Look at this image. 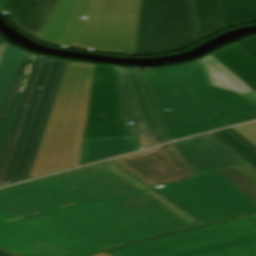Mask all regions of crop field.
<instances>
[{
	"label": "crop field",
	"mask_w": 256,
	"mask_h": 256,
	"mask_svg": "<svg viewBox=\"0 0 256 256\" xmlns=\"http://www.w3.org/2000/svg\"><path fill=\"white\" fill-rule=\"evenodd\" d=\"M60 0H9L4 11L15 27L38 40Z\"/></svg>",
	"instance_id": "crop-field-15"
},
{
	"label": "crop field",
	"mask_w": 256,
	"mask_h": 256,
	"mask_svg": "<svg viewBox=\"0 0 256 256\" xmlns=\"http://www.w3.org/2000/svg\"><path fill=\"white\" fill-rule=\"evenodd\" d=\"M236 44L256 60V36L236 42Z\"/></svg>",
	"instance_id": "crop-field-26"
},
{
	"label": "crop field",
	"mask_w": 256,
	"mask_h": 256,
	"mask_svg": "<svg viewBox=\"0 0 256 256\" xmlns=\"http://www.w3.org/2000/svg\"><path fill=\"white\" fill-rule=\"evenodd\" d=\"M143 72L171 140L206 132L161 68Z\"/></svg>",
	"instance_id": "crop-field-12"
},
{
	"label": "crop field",
	"mask_w": 256,
	"mask_h": 256,
	"mask_svg": "<svg viewBox=\"0 0 256 256\" xmlns=\"http://www.w3.org/2000/svg\"><path fill=\"white\" fill-rule=\"evenodd\" d=\"M211 55L256 91V61L239 46L234 43Z\"/></svg>",
	"instance_id": "crop-field-18"
},
{
	"label": "crop field",
	"mask_w": 256,
	"mask_h": 256,
	"mask_svg": "<svg viewBox=\"0 0 256 256\" xmlns=\"http://www.w3.org/2000/svg\"><path fill=\"white\" fill-rule=\"evenodd\" d=\"M139 0H90L72 46L132 55Z\"/></svg>",
	"instance_id": "crop-field-7"
},
{
	"label": "crop field",
	"mask_w": 256,
	"mask_h": 256,
	"mask_svg": "<svg viewBox=\"0 0 256 256\" xmlns=\"http://www.w3.org/2000/svg\"><path fill=\"white\" fill-rule=\"evenodd\" d=\"M93 205L153 237L202 225L152 189Z\"/></svg>",
	"instance_id": "crop-field-9"
},
{
	"label": "crop field",
	"mask_w": 256,
	"mask_h": 256,
	"mask_svg": "<svg viewBox=\"0 0 256 256\" xmlns=\"http://www.w3.org/2000/svg\"><path fill=\"white\" fill-rule=\"evenodd\" d=\"M140 148L134 136L83 140L79 166Z\"/></svg>",
	"instance_id": "crop-field-17"
},
{
	"label": "crop field",
	"mask_w": 256,
	"mask_h": 256,
	"mask_svg": "<svg viewBox=\"0 0 256 256\" xmlns=\"http://www.w3.org/2000/svg\"><path fill=\"white\" fill-rule=\"evenodd\" d=\"M67 62L25 53L0 111V186L28 178Z\"/></svg>",
	"instance_id": "crop-field-2"
},
{
	"label": "crop field",
	"mask_w": 256,
	"mask_h": 256,
	"mask_svg": "<svg viewBox=\"0 0 256 256\" xmlns=\"http://www.w3.org/2000/svg\"><path fill=\"white\" fill-rule=\"evenodd\" d=\"M194 138L172 144L197 175L245 163L210 134Z\"/></svg>",
	"instance_id": "crop-field-14"
},
{
	"label": "crop field",
	"mask_w": 256,
	"mask_h": 256,
	"mask_svg": "<svg viewBox=\"0 0 256 256\" xmlns=\"http://www.w3.org/2000/svg\"><path fill=\"white\" fill-rule=\"evenodd\" d=\"M8 0H0V14L3 11L5 5L7 4Z\"/></svg>",
	"instance_id": "crop-field-30"
},
{
	"label": "crop field",
	"mask_w": 256,
	"mask_h": 256,
	"mask_svg": "<svg viewBox=\"0 0 256 256\" xmlns=\"http://www.w3.org/2000/svg\"><path fill=\"white\" fill-rule=\"evenodd\" d=\"M201 61L209 67L215 86L234 90L242 95L253 92L252 89L210 55L201 59Z\"/></svg>",
	"instance_id": "crop-field-21"
},
{
	"label": "crop field",
	"mask_w": 256,
	"mask_h": 256,
	"mask_svg": "<svg viewBox=\"0 0 256 256\" xmlns=\"http://www.w3.org/2000/svg\"><path fill=\"white\" fill-rule=\"evenodd\" d=\"M226 178L256 202V186L233 167L219 170Z\"/></svg>",
	"instance_id": "crop-field-24"
},
{
	"label": "crop field",
	"mask_w": 256,
	"mask_h": 256,
	"mask_svg": "<svg viewBox=\"0 0 256 256\" xmlns=\"http://www.w3.org/2000/svg\"><path fill=\"white\" fill-rule=\"evenodd\" d=\"M207 131L256 119V106L211 86L201 62L162 68Z\"/></svg>",
	"instance_id": "crop-field-5"
},
{
	"label": "crop field",
	"mask_w": 256,
	"mask_h": 256,
	"mask_svg": "<svg viewBox=\"0 0 256 256\" xmlns=\"http://www.w3.org/2000/svg\"><path fill=\"white\" fill-rule=\"evenodd\" d=\"M1 40L2 39L0 38V61H1V58H2V56H3L4 52H5V49H6L7 45H8V42H6V41L2 42Z\"/></svg>",
	"instance_id": "crop-field-28"
},
{
	"label": "crop field",
	"mask_w": 256,
	"mask_h": 256,
	"mask_svg": "<svg viewBox=\"0 0 256 256\" xmlns=\"http://www.w3.org/2000/svg\"><path fill=\"white\" fill-rule=\"evenodd\" d=\"M88 0H61L39 41L68 48Z\"/></svg>",
	"instance_id": "crop-field-16"
},
{
	"label": "crop field",
	"mask_w": 256,
	"mask_h": 256,
	"mask_svg": "<svg viewBox=\"0 0 256 256\" xmlns=\"http://www.w3.org/2000/svg\"><path fill=\"white\" fill-rule=\"evenodd\" d=\"M216 137L230 146L256 170V147L232 128L213 132Z\"/></svg>",
	"instance_id": "crop-field-23"
},
{
	"label": "crop field",
	"mask_w": 256,
	"mask_h": 256,
	"mask_svg": "<svg viewBox=\"0 0 256 256\" xmlns=\"http://www.w3.org/2000/svg\"><path fill=\"white\" fill-rule=\"evenodd\" d=\"M233 129L256 146V122L234 127Z\"/></svg>",
	"instance_id": "crop-field-25"
},
{
	"label": "crop field",
	"mask_w": 256,
	"mask_h": 256,
	"mask_svg": "<svg viewBox=\"0 0 256 256\" xmlns=\"http://www.w3.org/2000/svg\"><path fill=\"white\" fill-rule=\"evenodd\" d=\"M97 256H110V255H107V254H105V253H102V254H99V255H97Z\"/></svg>",
	"instance_id": "crop-field-32"
},
{
	"label": "crop field",
	"mask_w": 256,
	"mask_h": 256,
	"mask_svg": "<svg viewBox=\"0 0 256 256\" xmlns=\"http://www.w3.org/2000/svg\"><path fill=\"white\" fill-rule=\"evenodd\" d=\"M94 66L67 64L29 178L78 166Z\"/></svg>",
	"instance_id": "crop-field-3"
},
{
	"label": "crop field",
	"mask_w": 256,
	"mask_h": 256,
	"mask_svg": "<svg viewBox=\"0 0 256 256\" xmlns=\"http://www.w3.org/2000/svg\"><path fill=\"white\" fill-rule=\"evenodd\" d=\"M247 99L256 104V92L244 95Z\"/></svg>",
	"instance_id": "crop-field-29"
},
{
	"label": "crop field",
	"mask_w": 256,
	"mask_h": 256,
	"mask_svg": "<svg viewBox=\"0 0 256 256\" xmlns=\"http://www.w3.org/2000/svg\"><path fill=\"white\" fill-rule=\"evenodd\" d=\"M127 135L132 133L122 118L116 67L96 65L83 139Z\"/></svg>",
	"instance_id": "crop-field-11"
},
{
	"label": "crop field",
	"mask_w": 256,
	"mask_h": 256,
	"mask_svg": "<svg viewBox=\"0 0 256 256\" xmlns=\"http://www.w3.org/2000/svg\"><path fill=\"white\" fill-rule=\"evenodd\" d=\"M222 5L226 28L256 22V0H222Z\"/></svg>",
	"instance_id": "crop-field-20"
},
{
	"label": "crop field",
	"mask_w": 256,
	"mask_h": 256,
	"mask_svg": "<svg viewBox=\"0 0 256 256\" xmlns=\"http://www.w3.org/2000/svg\"><path fill=\"white\" fill-rule=\"evenodd\" d=\"M234 168H236L240 173H242L246 178L256 185V171L247 163L234 166Z\"/></svg>",
	"instance_id": "crop-field-27"
},
{
	"label": "crop field",
	"mask_w": 256,
	"mask_h": 256,
	"mask_svg": "<svg viewBox=\"0 0 256 256\" xmlns=\"http://www.w3.org/2000/svg\"><path fill=\"white\" fill-rule=\"evenodd\" d=\"M105 253L113 256H256V214Z\"/></svg>",
	"instance_id": "crop-field-4"
},
{
	"label": "crop field",
	"mask_w": 256,
	"mask_h": 256,
	"mask_svg": "<svg viewBox=\"0 0 256 256\" xmlns=\"http://www.w3.org/2000/svg\"><path fill=\"white\" fill-rule=\"evenodd\" d=\"M117 74L123 118L141 147L168 142L140 69L117 67Z\"/></svg>",
	"instance_id": "crop-field-10"
},
{
	"label": "crop field",
	"mask_w": 256,
	"mask_h": 256,
	"mask_svg": "<svg viewBox=\"0 0 256 256\" xmlns=\"http://www.w3.org/2000/svg\"><path fill=\"white\" fill-rule=\"evenodd\" d=\"M198 40L225 28L221 0H192Z\"/></svg>",
	"instance_id": "crop-field-19"
},
{
	"label": "crop field",
	"mask_w": 256,
	"mask_h": 256,
	"mask_svg": "<svg viewBox=\"0 0 256 256\" xmlns=\"http://www.w3.org/2000/svg\"><path fill=\"white\" fill-rule=\"evenodd\" d=\"M114 160L153 188L196 176L172 144Z\"/></svg>",
	"instance_id": "crop-field-13"
},
{
	"label": "crop field",
	"mask_w": 256,
	"mask_h": 256,
	"mask_svg": "<svg viewBox=\"0 0 256 256\" xmlns=\"http://www.w3.org/2000/svg\"><path fill=\"white\" fill-rule=\"evenodd\" d=\"M24 53V51L8 45L2 58L0 63V108Z\"/></svg>",
	"instance_id": "crop-field-22"
},
{
	"label": "crop field",
	"mask_w": 256,
	"mask_h": 256,
	"mask_svg": "<svg viewBox=\"0 0 256 256\" xmlns=\"http://www.w3.org/2000/svg\"><path fill=\"white\" fill-rule=\"evenodd\" d=\"M197 42L191 0H142L134 55L161 54Z\"/></svg>",
	"instance_id": "crop-field-8"
},
{
	"label": "crop field",
	"mask_w": 256,
	"mask_h": 256,
	"mask_svg": "<svg viewBox=\"0 0 256 256\" xmlns=\"http://www.w3.org/2000/svg\"><path fill=\"white\" fill-rule=\"evenodd\" d=\"M155 189L205 224L256 211V203L218 171Z\"/></svg>",
	"instance_id": "crop-field-6"
},
{
	"label": "crop field",
	"mask_w": 256,
	"mask_h": 256,
	"mask_svg": "<svg viewBox=\"0 0 256 256\" xmlns=\"http://www.w3.org/2000/svg\"><path fill=\"white\" fill-rule=\"evenodd\" d=\"M0 256H11V255H8V254L0 251Z\"/></svg>",
	"instance_id": "crop-field-31"
},
{
	"label": "crop field",
	"mask_w": 256,
	"mask_h": 256,
	"mask_svg": "<svg viewBox=\"0 0 256 256\" xmlns=\"http://www.w3.org/2000/svg\"><path fill=\"white\" fill-rule=\"evenodd\" d=\"M146 189L111 160L0 189V250L88 256L151 238L91 205Z\"/></svg>",
	"instance_id": "crop-field-1"
}]
</instances>
